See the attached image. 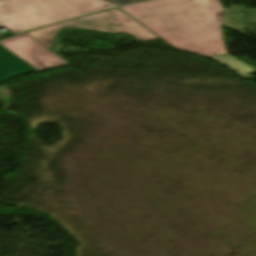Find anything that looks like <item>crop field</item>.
<instances>
[{
    "label": "crop field",
    "mask_w": 256,
    "mask_h": 256,
    "mask_svg": "<svg viewBox=\"0 0 256 256\" xmlns=\"http://www.w3.org/2000/svg\"><path fill=\"white\" fill-rule=\"evenodd\" d=\"M105 1L111 3L114 6H118V5L136 2V1H140V0H105Z\"/></svg>",
    "instance_id": "crop-field-7"
},
{
    "label": "crop field",
    "mask_w": 256,
    "mask_h": 256,
    "mask_svg": "<svg viewBox=\"0 0 256 256\" xmlns=\"http://www.w3.org/2000/svg\"><path fill=\"white\" fill-rule=\"evenodd\" d=\"M0 44L38 71L67 65L65 61L25 33L0 41Z\"/></svg>",
    "instance_id": "crop-field-4"
},
{
    "label": "crop field",
    "mask_w": 256,
    "mask_h": 256,
    "mask_svg": "<svg viewBox=\"0 0 256 256\" xmlns=\"http://www.w3.org/2000/svg\"><path fill=\"white\" fill-rule=\"evenodd\" d=\"M106 8L99 0H0V25L16 33Z\"/></svg>",
    "instance_id": "crop-field-2"
},
{
    "label": "crop field",
    "mask_w": 256,
    "mask_h": 256,
    "mask_svg": "<svg viewBox=\"0 0 256 256\" xmlns=\"http://www.w3.org/2000/svg\"><path fill=\"white\" fill-rule=\"evenodd\" d=\"M119 9L173 47L207 57L227 53L219 0H152Z\"/></svg>",
    "instance_id": "crop-field-1"
},
{
    "label": "crop field",
    "mask_w": 256,
    "mask_h": 256,
    "mask_svg": "<svg viewBox=\"0 0 256 256\" xmlns=\"http://www.w3.org/2000/svg\"><path fill=\"white\" fill-rule=\"evenodd\" d=\"M0 28H2V27L0 26Z\"/></svg>",
    "instance_id": "crop-field-8"
},
{
    "label": "crop field",
    "mask_w": 256,
    "mask_h": 256,
    "mask_svg": "<svg viewBox=\"0 0 256 256\" xmlns=\"http://www.w3.org/2000/svg\"><path fill=\"white\" fill-rule=\"evenodd\" d=\"M210 58L227 65L232 70L236 71L238 74L245 78H249L252 75V71L254 70L247 64L242 63L240 60L235 59L228 54L213 56Z\"/></svg>",
    "instance_id": "crop-field-6"
},
{
    "label": "crop field",
    "mask_w": 256,
    "mask_h": 256,
    "mask_svg": "<svg viewBox=\"0 0 256 256\" xmlns=\"http://www.w3.org/2000/svg\"><path fill=\"white\" fill-rule=\"evenodd\" d=\"M65 27L85 28L110 33H129L143 42L157 39V37L117 9L47 26L27 32V34L49 49L58 29Z\"/></svg>",
    "instance_id": "crop-field-3"
},
{
    "label": "crop field",
    "mask_w": 256,
    "mask_h": 256,
    "mask_svg": "<svg viewBox=\"0 0 256 256\" xmlns=\"http://www.w3.org/2000/svg\"><path fill=\"white\" fill-rule=\"evenodd\" d=\"M32 72L36 70L0 46V84L11 77Z\"/></svg>",
    "instance_id": "crop-field-5"
}]
</instances>
